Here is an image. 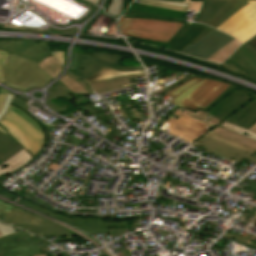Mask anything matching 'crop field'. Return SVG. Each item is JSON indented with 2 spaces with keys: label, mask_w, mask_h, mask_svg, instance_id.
Instances as JSON below:
<instances>
[{
  "label": "crop field",
  "mask_w": 256,
  "mask_h": 256,
  "mask_svg": "<svg viewBox=\"0 0 256 256\" xmlns=\"http://www.w3.org/2000/svg\"><path fill=\"white\" fill-rule=\"evenodd\" d=\"M177 110L213 127L228 120L248 129L256 121V95L242 88L230 85L203 111L200 109L194 113L181 106Z\"/></svg>",
  "instance_id": "obj_1"
},
{
  "label": "crop field",
  "mask_w": 256,
  "mask_h": 256,
  "mask_svg": "<svg viewBox=\"0 0 256 256\" xmlns=\"http://www.w3.org/2000/svg\"><path fill=\"white\" fill-rule=\"evenodd\" d=\"M0 124L34 156L39 152L43 143V133L39 122L32 116L11 105Z\"/></svg>",
  "instance_id": "obj_2"
},
{
  "label": "crop field",
  "mask_w": 256,
  "mask_h": 256,
  "mask_svg": "<svg viewBox=\"0 0 256 256\" xmlns=\"http://www.w3.org/2000/svg\"><path fill=\"white\" fill-rule=\"evenodd\" d=\"M36 64L10 53L6 59V67L2 66L5 84L23 91L32 87H43L54 77Z\"/></svg>",
  "instance_id": "obj_3"
},
{
  "label": "crop field",
  "mask_w": 256,
  "mask_h": 256,
  "mask_svg": "<svg viewBox=\"0 0 256 256\" xmlns=\"http://www.w3.org/2000/svg\"><path fill=\"white\" fill-rule=\"evenodd\" d=\"M10 205L0 201V215H2V220L6 223H10L42 237L71 235L69 232L50 221Z\"/></svg>",
  "instance_id": "obj_4"
},
{
  "label": "crop field",
  "mask_w": 256,
  "mask_h": 256,
  "mask_svg": "<svg viewBox=\"0 0 256 256\" xmlns=\"http://www.w3.org/2000/svg\"><path fill=\"white\" fill-rule=\"evenodd\" d=\"M182 25L152 19L121 18L120 20L122 34L163 43H166Z\"/></svg>",
  "instance_id": "obj_5"
},
{
  "label": "crop field",
  "mask_w": 256,
  "mask_h": 256,
  "mask_svg": "<svg viewBox=\"0 0 256 256\" xmlns=\"http://www.w3.org/2000/svg\"><path fill=\"white\" fill-rule=\"evenodd\" d=\"M228 86L229 84L223 82L205 79L190 86L170 102L181 105L185 108H189L196 112L200 108L203 110Z\"/></svg>",
  "instance_id": "obj_6"
},
{
  "label": "crop field",
  "mask_w": 256,
  "mask_h": 256,
  "mask_svg": "<svg viewBox=\"0 0 256 256\" xmlns=\"http://www.w3.org/2000/svg\"><path fill=\"white\" fill-rule=\"evenodd\" d=\"M193 146L231 161L241 163L243 158H248L247 160L256 163V159L250 157L256 150L216 134L209 133Z\"/></svg>",
  "instance_id": "obj_7"
},
{
  "label": "crop field",
  "mask_w": 256,
  "mask_h": 256,
  "mask_svg": "<svg viewBox=\"0 0 256 256\" xmlns=\"http://www.w3.org/2000/svg\"><path fill=\"white\" fill-rule=\"evenodd\" d=\"M249 3L217 29L236 37L241 43L254 36L256 34V1H249Z\"/></svg>",
  "instance_id": "obj_8"
},
{
  "label": "crop field",
  "mask_w": 256,
  "mask_h": 256,
  "mask_svg": "<svg viewBox=\"0 0 256 256\" xmlns=\"http://www.w3.org/2000/svg\"><path fill=\"white\" fill-rule=\"evenodd\" d=\"M122 58L99 54L97 59L73 53V62L70 70L83 79L98 72L103 66L116 69L118 71H139L142 67H117Z\"/></svg>",
  "instance_id": "obj_9"
},
{
  "label": "crop field",
  "mask_w": 256,
  "mask_h": 256,
  "mask_svg": "<svg viewBox=\"0 0 256 256\" xmlns=\"http://www.w3.org/2000/svg\"><path fill=\"white\" fill-rule=\"evenodd\" d=\"M26 238V240H24ZM39 242L46 240L25 232L0 238V252L4 256H28L41 254Z\"/></svg>",
  "instance_id": "obj_10"
},
{
  "label": "crop field",
  "mask_w": 256,
  "mask_h": 256,
  "mask_svg": "<svg viewBox=\"0 0 256 256\" xmlns=\"http://www.w3.org/2000/svg\"><path fill=\"white\" fill-rule=\"evenodd\" d=\"M20 203L26 204L32 208L38 209L39 211L46 213L58 220H61L62 222L69 224L75 228H78L86 233L89 234H102V233H108L107 226H128V221H120V222H105V220H99V219H72L67 218L61 215H58L48 209H45L43 207H40L38 205H35L33 203L24 201V200H17Z\"/></svg>",
  "instance_id": "obj_11"
},
{
  "label": "crop field",
  "mask_w": 256,
  "mask_h": 256,
  "mask_svg": "<svg viewBox=\"0 0 256 256\" xmlns=\"http://www.w3.org/2000/svg\"><path fill=\"white\" fill-rule=\"evenodd\" d=\"M51 92V98L46 103L56 112L65 111L66 108L59 106L55 107L53 103H50L51 99L64 97L70 101L73 97L70 93H93L89 85L81 80L79 77L69 71L57 84L49 89Z\"/></svg>",
  "instance_id": "obj_12"
},
{
  "label": "crop field",
  "mask_w": 256,
  "mask_h": 256,
  "mask_svg": "<svg viewBox=\"0 0 256 256\" xmlns=\"http://www.w3.org/2000/svg\"><path fill=\"white\" fill-rule=\"evenodd\" d=\"M232 39L234 38L214 29L193 46L189 44L185 49L181 51V53L205 60L224 45H226L228 42H230Z\"/></svg>",
  "instance_id": "obj_13"
},
{
  "label": "crop field",
  "mask_w": 256,
  "mask_h": 256,
  "mask_svg": "<svg viewBox=\"0 0 256 256\" xmlns=\"http://www.w3.org/2000/svg\"><path fill=\"white\" fill-rule=\"evenodd\" d=\"M0 49L37 63L51 55L47 49L46 42L35 44L33 41H0Z\"/></svg>",
  "instance_id": "obj_14"
},
{
  "label": "crop field",
  "mask_w": 256,
  "mask_h": 256,
  "mask_svg": "<svg viewBox=\"0 0 256 256\" xmlns=\"http://www.w3.org/2000/svg\"><path fill=\"white\" fill-rule=\"evenodd\" d=\"M206 28L207 26L202 24L188 22L170 38L168 47L180 52Z\"/></svg>",
  "instance_id": "obj_15"
},
{
  "label": "crop field",
  "mask_w": 256,
  "mask_h": 256,
  "mask_svg": "<svg viewBox=\"0 0 256 256\" xmlns=\"http://www.w3.org/2000/svg\"><path fill=\"white\" fill-rule=\"evenodd\" d=\"M228 60L247 71L256 79V53L246 43L231 55Z\"/></svg>",
  "instance_id": "obj_16"
},
{
  "label": "crop field",
  "mask_w": 256,
  "mask_h": 256,
  "mask_svg": "<svg viewBox=\"0 0 256 256\" xmlns=\"http://www.w3.org/2000/svg\"><path fill=\"white\" fill-rule=\"evenodd\" d=\"M155 1L190 2V0H155ZM228 1L229 0H204L197 22L207 24Z\"/></svg>",
  "instance_id": "obj_17"
},
{
  "label": "crop field",
  "mask_w": 256,
  "mask_h": 256,
  "mask_svg": "<svg viewBox=\"0 0 256 256\" xmlns=\"http://www.w3.org/2000/svg\"><path fill=\"white\" fill-rule=\"evenodd\" d=\"M34 156L30 154L25 148L18 151L5 162L0 165V175H9L12 171L22 167L32 160Z\"/></svg>",
  "instance_id": "obj_18"
},
{
  "label": "crop field",
  "mask_w": 256,
  "mask_h": 256,
  "mask_svg": "<svg viewBox=\"0 0 256 256\" xmlns=\"http://www.w3.org/2000/svg\"><path fill=\"white\" fill-rule=\"evenodd\" d=\"M247 4L248 1L230 0L207 25L217 28Z\"/></svg>",
  "instance_id": "obj_19"
},
{
  "label": "crop field",
  "mask_w": 256,
  "mask_h": 256,
  "mask_svg": "<svg viewBox=\"0 0 256 256\" xmlns=\"http://www.w3.org/2000/svg\"><path fill=\"white\" fill-rule=\"evenodd\" d=\"M22 148L24 147L20 146L8 133L4 135L0 132V164Z\"/></svg>",
  "instance_id": "obj_20"
},
{
  "label": "crop field",
  "mask_w": 256,
  "mask_h": 256,
  "mask_svg": "<svg viewBox=\"0 0 256 256\" xmlns=\"http://www.w3.org/2000/svg\"><path fill=\"white\" fill-rule=\"evenodd\" d=\"M144 71L140 72H118L116 70H112L109 68L103 67L98 73L94 74L93 76L85 79L89 84H94L98 81L118 77V76H125V75H134V74H141Z\"/></svg>",
  "instance_id": "obj_21"
},
{
  "label": "crop field",
  "mask_w": 256,
  "mask_h": 256,
  "mask_svg": "<svg viewBox=\"0 0 256 256\" xmlns=\"http://www.w3.org/2000/svg\"><path fill=\"white\" fill-rule=\"evenodd\" d=\"M141 76H145V74L113 78V79H109V80L98 82V83H96L94 85H90V86L92 87V89L95 92H97V91H101V90H105V89H109V88H113V87L129 84L130 81H129L128 78L141 77Z\"/></svg>",
  "instance_id": "obj_22"
},
{
  "label": "crop field",
  "mask_w": 256,
  "mask_h": 256,
  "mask_svg": "<svg viewBox=\"0 0 256 256\" xmlns=\"http://www.w3.org/2000/svg\"><path fill=\"white\" fill-rule=\"evenodd\" d=\"M239 44L240 43L234 39L221 50H219L217 53L212 55L210 58H206V61H210L213 63L223 62L239 46Z\"/></svg>",
  "instance_id": "obj_23"
},
{
  "label": "crop field",
  "mask_w": 256,
  "mask_h": 256,
  "mask_svg": "<svg viewBox=\"0 0 256 256\" xmlns=\"http://www.w3.org/2000/svg\"><path fill=\"white\" fill-rule=\"evenodd\" d=\"M212 133H216L220 136H224V137H227L233 141H237V142H240L244 145H247V146H250L254 149H256V141L254 140H251V139H248L246 137H243L241 135H238V134H235L233 132H230L228 130H225V129H222L220 127H217L216 129H214L213 131H211Z\"/></svg>",
  "instance_id": "obj_24"
},
{
  "label": "crop field",
  "mask_w": 256,
  "mask_h": 256,
  "mask_svg": "<svg viewBox=\"0 0 256 256\" xmlns=\"http://www.w3.org/2000/svg\"><path fill=\"white\" fill-rule=\"evenodd\" d=\"M42 69L56 77L62 71V66L51 55L38 64Z\"/></svg>",
  "instance_id": "obj_25"
},
{
  "label": "crop field",
  "mask_w": 256,
  "mask_h": 256,
  "mask_svg": "<svg viewBox=\"0 0 256 256\" xmlns=\"http://www.w3.org/2000/svg\"><path fill=\"white\" fill-rule=\"evenodd\" d=\"M220 127L228 129V130L233 131L235 133H238V134H241V135L246 136L248 138L256 140V133L251 132L249 130H246L244 128H241L239 126L233 125V124H231L227 121L224 122L223 124H221Z\"/></svg>",
  "instance_id": "obj_26"
},
{
  "label": "crop field",
  "mask_w": 256,
  "mask_h": 256,
  "mask_svg": "<svg viewBox=\"0 0 256 256\" xmlns=\"http://www.w3.org/2000/svg\"><path fill=\"white\" fill-rule=\"evenodd\" d=\"M222 238L239 240V241H242V242H245V243H249V244H251V245L256 247V244L251 242L253 239L256 238V236H253V235L246 234V236L243 237V236H240V235H234V234L225 233L222 236Z\"/></svg>",
  "instance_id": "obj_27"
},
{
  "label": "crop field",
  "mask_w": 256,
  "mask_h": 256,
  "mask_svg": "<svg viewBox=\"0 0 256 256\" xmlns=\"http://www.w3.org/2000/svg\"><path fill=\"white\" fill-rule=\"evenodd\" d=\"M120 5H121V0H111L106 13H109L112 16L118 18L119 11H120Z\"/></svg>",
  "instance_id": "obj_28"
},
{
  "label": "crop field",
  "mask_w": 256,
  "mask_h": 256,
  "mask_svg": "<svg viewBox=\"0 0 256 256\" xmlns=\"http://www.w3.org/2000/svg\"><path fill=\"white\" fill-rule=\"evenodd\" d=\"M198 81H200V79L194 78V79H192V80H190V81L184 83L183 85H181V86L175 88L174 90L170 91V92L167 93L166 95H168V96H170L171 98H173V97H175L177 94H179L184 88H186V87H188V86H190V85H192V84H194V83H196V82H198Z\"/></svg>",
  "instance_id": "obj_29"
},
{
  "label": "crop field",
  "mask_w": 256,
  "mask_h": 256,
  "mask_svg": "<svg viewBox=\"0 0 256 256\" xmlns=\"http://www.w3.org/2000/svg\"><path fill=\"white\" fill-rule=\"evenodd\" d=\"M0 232L3 236V235L10 234V233H14L15 231L12 226L0 222Z\"/></svg>",
  "instance_id": "obj_30"
},
{
  "label": "crop field",
  "mask_w": 256,
  "mask_h": 256,
  "mask_svg": "<svg viewBox=\"0 0 256 256\" xmlns=\"http://www.w3.org/2000/svg\"><path fill=\"white\" fill-rule=\"evenodd\" d=\"M7 93H9V92H7L6 90H4V89H2V88H0V111H1V109H2V106H3V103H4V101H5V97H6V94ZM11 94V93H10ZM13 95V94H12ZM0 131L2 132V133H7L2 127H0Z\"/></svg>",
  "instance_id": "obj_31"
},
{
  "label": "crop field",
  "mask_w": 256,
  "mask_h": 256,
  "mask_svg": "<svg viewBox=\"0 0 256 256\" xmlns=\"http://www.w3.org/2000/svg\"><path fill=\"white\" fill-rule=\"evenodd\" d=\"M8 55V52L0 50V82H3V77H2V68L1 65L5 66V58Z\"/></svg>",
  "instance_id": "obj_32"
},
{
  "label": "crop field",
  "mask_w": 256,
  "mask_h": 256,
  "mask_svg": "<svg viewBox=\"0 0 256 256\" xmlns=\"http://www.w3.org/2000/svg\"><path fill=\"white\" fill-rule=\"evenodd\" d=\"M128 228H125V229H108L109 230V235L110 236H121L123 234H125V230H127Z\"/></svg>",
  "instance_id": "obj_33"
},
{
  "label": "crop field",
  "mask_w": 256,
  "mask_h": 256,
  "mask_svg": "<svg viewBox=\"0 0 256 256\" xmlns=\"http://www.w3.org/2000/svg\"><path fill=\"white\" fill-rule=\"evenodd\" d=\"M11 95H7V98H6V101H5V103H4V107H3V110H2V112L0 113V118L2 117V115L5 113V111L7 110V108H8V106H9V104H10V101H11Z\"/></svg>",
  "instance_id": "obj_34"
},
{
  "label": "crop field",
  "mask_w": 256,
  "mask_h": 256,
  "mask_svg": "<svg viewBox=\"0 0 256 256\" xmlns=\"http://www.w3.org/2000/svg\"><path fill=\"white\" fill-rule=\"evenodd\" d=\"M53 56L64 65V58L62 52H51Z\"/></svg>",
  "instance_id": "obj_35"
},
{
  "label": "crop field",
  "mask_w": 256,
  "mask_h": 256,
  "mask_svg": "<svg viewBox=\"0 0 256 256\" xmlns=\"http://www.w3.org/2000/svg\"><path fill=\"white\" fill-rule=\"evenodd\" d=\"M185 74H187V73L178 72V73L174 74L172 77H169V76H168V77L162 79L161 82H164V81H166V80H168V79H170V78L176 79V77H179L180 79H182V78H184L183 75H185ZM166 83H167V82H166Z\"/></svg>",
  "instance_id": "obj_36"
},
{
  "label": "crop field",
  "mask_w": 256,
  "mask_h": 256,
  "mask_svg": "<svg viewBox=\"0 0 256 256\" xmlns=\"http://www.w3.org/2000/svg\"><path fill=\"white\" fill-rule=\"evenodd\" d=\"M130 105H131V104L124 105L125 108L127 109V111H128V108H129L130 111H133L134 108L132 109V108L130 107ZM127 107H128V108H127ZM132 107H133V106H132ZM134 111H135V110H134ZM134 111H133V113H132V114L134 115V117L138 118L139 121H141V119L139 118L140 116L137 114V115L139 116V117H138V116L135 114L136 111H135V112H134ZM128 112H129V111H128ZM129 113H130V112H129ZM136 113H137V112H136ZM132 114L130 113L131 116H132ZM132 117H133V116H132ZM134 117L132 118V120L137 121ZM135 121H134V122H135ZM137 122H138V121H137Z\"/></svg>",
  "instance_id": "obj_37"
},
{
  "label": "crop field",
  "mask_w": 256,
  "mask_h": 256,
  "mask_svg": "<svg viewBox=\"0 0 256 256\" xmlns=\"http://www.w3.org/2000/svg\"><path fill=\"white\" fill-rule=\"evenodd\" d=\"M212 28L208 27L205 31H203L195 40H193L190 44H194L197 42L201 37H203L205 34H207L209 31H211Z\"/></svg>",
  "instance_id": "obj_38"
},
{
  "label": "crop field",
  "mask_w": 256,
  "mask_h": 256,
  "mask_svg": "<svg viewBox=\"0 0 256 256\" xmlns=\"http://www.w3.org/2000/svg\"><path fill=\"white\" fill-rule=\"evenodd\" d=\"M246 43L256 52V39L254 37Z\"/></svg>",
  "instance_id": "obj_39"
},
{
  "label": "crop field",
  "mask_w": 256,
  "mask_h": 256,
  "mask_svg": "<svg viewBox=\"0 0 256 256\" xmlns=\"http://www.w3.org/2000/svg\"><path fill=\"white\" fill-rule=\"evenodd\" d=\"M0 194H3V195H5V196H7V197H9V198L14 199V200L18 199V197H16V196H14V195H12V194H10V193L4 191V190L1 189V188H0Z\"/></svg>",
  "instance_id": "obj_40"
},
{
  "label": "crop field",
  "mask_w": 256,
  "mask_h": 256,
  "mask_svg": "<svg viewBox=\"0 0 256 256\" xmlns=\"http://www.w3.org/2000/svg\"><path fill=\"white\" fill-rule=\"evenodd\" d=\"M146 1H149V0H146ZM162 3H164V2H162ZM168 4L179 5V6H184V7H188V5H189L188 3H168Z\"/></svg>",
  "instance_id": "obj_41"
},
{
  "label": "crop field",
  "mask_w": 256,
  "mask_h": 256,
  "mask_svg": "<svg viewBox=\"0 0 256 256\" xmlns=\"http://www.w3.org/2000/svg\"><path fill=\"white\" fill-rule=\"evenodd\" d=\"M249 130L256 132V123H254Z\"/></svg>",
  "instance_id": "obj_42"
},
{
  "label": "crop field",
  "mask_w": 256,
  "mask_h": 256,
  "mask_svg": "<svg viewBox=\"0 0 256 256\" xmlns=\"http://www.w3.org/2000/svg\"><path fill=\"white\" fill-rule=\"evenodd\" d=\"M121 108V107H120ZM118 111H119V113L122 115V116H124L125 115V113H124V111H123V109L121 108V109H118Z\"/></svg>",
  "instance_id": "obj_43"
},
{
  "label": "crop field",
  "mask_w": 256,
  "mask_h": 256,
  "mask_svg": "<svg viewBox=\"0 0 256 256\" xmlns=\"http://www.w3.org/2000/svg\"><path fill=\"white\" fill-rule=\"evenodd\" d=\"M89 1L94 2V3H96V4H97V2H98V0H89Z\"/></svg>",
  "instance_id": "obj_44"
},
{
  "label": "crop field",
  "mask_w": 256,
  "mask_h": 256,
  "mask_svg": "<svg viewBox=\"0 0 256 256\" xmlns=\"http://www.w3.org/2000/svg\"><path fill=\"white\" fill-rule=\"evenodd\" d=\"M0 256H3L2 253H0Z\"/></svg>",
  "instance_id": "obj_45"
},
{
  "label": "crop field",
  "mask_w": 256,
  "mask_h": 256,
  "mask_svg": "<svg viewBox=\"0 0 256 256\" xmlns=\"http://www.w3.org/2000/svg\"><path fill=\"white\" fill-rule=\"evenodd\" d=\"M0 237H1V234H0Z\"/></svg>",
  "instance_id": "obj_46"
},
{
  "label": "crop field",
  "mask_w": 256,
  "mask_h": 256,
  "mask_svg": "<svg viewBox=\"0 0 256 256\" xmlns=\"http://www.w3.org/2000/svg\"><path fill=\"white\" fill-rule=\"evenodd\" d=\"M255 38H256V36H255Z\"/></svg>",
  "instance_id": "obj_47"
}]
</instances>
